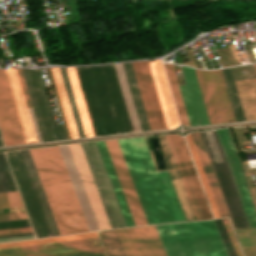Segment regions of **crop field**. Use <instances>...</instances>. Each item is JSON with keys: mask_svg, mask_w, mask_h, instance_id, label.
Here are the masks:
<instances>
[{"mask_svg": "<svg viewBox=\"0 0 256 256\" xmlns=\"http://www.w3.org/2000/svg\"><path fill=\"white\" fill-rule=\"evenodd\" d=\"M32 232L30 227L0 230V235Z\"/></svg>", "mask_w": 256, "mask_h": 256, "instance_id": "obj_41", "label": "crop field"}, {"mask_svg": "<svg viewBox=\"0 0 256 256\" xmlns=\"http://www.w3.org/2000/svg\"><path fill=\"white\" fill-rule=\"evenodd\" d=\"M66 69H67V73H68L69 80H70V83H71V87H72V90H73V94H74V97H75V101H76V104H77V108H78V111H79V115H80V118H81V122H82V125H83V129H84V132H85V136L86 137H92L94 135H93L91 124H90V121H89V118H88V114H87V111H86V107H85V104H84V100H83V97H82L80 86H79V83H78V80H77L75 69L74 68H66Z\"/></svg>", "mask_w": 256, "mask_h": 256, "instance_id": "obj_17", "label": "crop field"}, {"mask_svg": "<svg viewBox=\"0 0 256 256\" xmlns=\"http://www.w3.org/2000/svg\"><path fill=\"white\" fill-rule=\"evenodd\" d=\"M165 136H166V139H167V141H168L169 147H170V149H171L172 155H173V157H174L175 163H176V165H177L178 171H179V173H180L182 182H183V184H184L185 190H186V192H187V195H188V198H189V200H190V203H191V206H192V208H193V211H194V214H195V216H196V219L199 220V219H200V218H199V215H198V213H197L195 204H194V202H193L191 193H190V191H189L187 182H186L185 177H184V174H183V172H182V169H181L180 163H179V161H178V158H177L176 152H175V150H174V147H173L172 141H171V139H170V136H169V135H165Z\"/></svg>", "mask_w": 256, "mask_h": 256, "instance_id": "obj_30", "label": "crop field"}, {"mask_svg": "<svg viewBox=\"0 0 256 256\" xmlns=\"http://www.w3.org/2000/svg\"><path fill=\"white\" fill-rule=\"evenodd\" d=\"M127 227L135 226L103 141L96 142Z\"/></svg>", "mask_w": 256, "mask_h": 256, "instance_id": "obj_16", "label": "crop field"}, {"mask_svg": "<svg viewBox=\"0 0 256 256\" xmlns=\"http://www.w3.org/2000/svg\"><path fill=\"white\" fill-rule=\"evenodd\" d=\"M109 256H126L115 230L100 232Z\"/></svg>", "mask_w": 256, "mask_h": 256, "instance_id": "obj_26", "label": "crop field"}, {"mask_svg": "<svg viewBox=\"0 0 256 256\" xmlns=\"http://www.w3.org/2000/svg\"><path fill=\"white\" fill-rule=\"evenodd\" d=\"M29 234H33V233L17 234V235H6V236H0V238H2V237H11V236H20V235H29Z\"/></svg>", "mask_w": 256, "mask_h": 256, "instance_id": "obj_45", "label": "crop field"}, {"mask_svg": "<svg viewBox=\"0 0 256 256\" xmlns=\"http://www.w3.org/2000/svg\"><path fill=\"white\" fill-rule=\"evenodd\" d=\"M164 65H165V69H166L167 76H168V79H169V83H170V86H171V90H172V94H173L174 101H175V104H176V108H177V111H178V115H179V118H180V122L182 124L188 125V121H187L186 113H185V110H184L183 102H182V99H181V95H180V91H179V87H178L174 67H173V65H169V64H164Z\"/></svg>", "mask_w": 256, "mask_h": 256, "instance_id": "obj_24", "label": "crop field"}, {"mask_svg": "<svg viewBox=\"0 0 256 256\" xmlns=\"http://www.w3.org/2000/svg\"><path fill=\"white\" fill-rule=\"evenodd\" d=\"M182 67L186 85L179 86L190 126L210 124L195 74L192 68Z\"/></svg>", "mask_w": 256, "mask_h": 256, "instance_id": "obj_9", "label": "crop field"}, {"mask_svg": "<svg viewBox=\"0 0 256 256\" xmlns=\"http://www.w3.org/2000/svg\"><path fill=\"white\" fill-rule=\"evenodd\" d=\"M117 141L148 223L186 221L168 171H155L144 139Z\"/></svg>", "mask_w": 256, "mask_h": 256, "instance_id": "obj_2", "label": "crop field"}, {"mask_svg": "<svg viewBox=\"0 0 256 256\" xmlns=\"http://www.w3.org/2000/svg\"><path fill=\"white\" fill-rule=\"evenodd\" d=\"M149 66H150V69H151L152 77H153L154 84H155V87H156V91H157V94H158V98H159V102H160L161 109H162V112H163V116H164V120H165V123H166V127L167 128H171L169 120H168V116H167V113H166V109H165V106H164V102H163V99H162V95H161V91H160V88H159V84H158V81H157V77H156V74H155V70H154V67H153V63L149 62Z\"/></svg>", "mask_w": 256, "mask_h": 256, "instance_id": "obj_35", "label": "crop field"}, {"mask_svg": "<svg viewBox=\"0 0 256 256\" xmlns=\"http://www.w3.org/2000/svg\"><path fill=\"white\" fill-rule=\"evenodd\" d=\"M31 238H34V236H33V235H29V236L2 238V239H0V242L15 241V240H23V239H31Z\"/></svg>", "mask_w": 256, "mask_h": 256, "instance_id": "obj_43", "label": "crop field"}, {"mask_svg": "<svg viewBox=\"0 0 256 256\" xmlns=\"http://www.w3.org/2000/svg\"><path fill=\"white\" fill-rule=\"evenodd\" d=\"M23 206L17 192L0 194V208Z\"/></svg>", "mask_w": 256, "mask_h": 256, "instance_id": "obj_31", "label": "crop field"}, {"mask_svg": "<svg viewBox=\"0 0 256 256\" xmlns=\"http://www.w3.org/2000/svg\"><path fill=\"white\" fill-rule=\"evenodd\" d=\"M59 69H60V73H61L62 80H63V83H64V87H65V91H66L67 98H68V101H69V105H70V108H71V112H72V115H73V119H74V123H75L76 130H77V133H78V137L79 138L85 137L83 129H82V125H81V122H80V118H79V115H78V111H77V108H76V104H75V101H74V97H73V94H72V90H71V87H70V83H69V80H68V76H67V73H66V69L65 68H59Z\"/></svg>", "mask_w": 256, "mask_h": 256, "instance_id": "obj_25", "label": "crop field"}, {"mask_svg": "<svg viewBox=\"0 0 256 256\" xmlns=\"http://www.w3.org/2000/svg\"><path fill=\"white\" fill-rule=\"evenodd\" d=\"M116 231H117V233H118V235H119V238H120V240H121V242H122V245H123V247H124V250H125L127 256H131V255H130V252H129V250H128V247H127V245H126V242H125V240H124V237H123V235H122L121 230L119 229V230H116Z\"/></svg>", "mask_w": 256, "mask_h": 256, "instance_id": "obj_44", "label": "crop field"}, {"mask_svg": "<svg viewBox=\"0 0 256 256\" xmlns=\"http://www.w3.org/2000/svg\"><path fill=\"white\" fill-rule=\"evenodd\" d=\"M112 228H116L85 143L80 144Z\"/></svg>", "mask_w": 256, "mask_h": 256, "instance_id": "obj_28", "label": "crop field"}, {"mask_svg": "<svg viewBox=\"0 0 256 256\" xmlns=\"http://www.w3.org/2000/svg\"><path fill=\"white\" fill-rule=\"evenodd\" d=\"M22 70H23V74H24V77H25V81H26V84H27L28 91H29V95H30V98H31V102H32V106H33L34 113H35V116H36V120H37V123H38V127H39V130H40V134H41V137H42V141L45 142V141H47L46 136H45V133H44V130H43V126H42L41 119H40V116H39V112H38V109H37V106H36V102H35V99H34L32 88H31V85H30V82H29L27 71H26V69H22Z\"/></svg>", "mask_w": 256, "mask_h": 256, "instance_id": "obj_32", "label": "crop field"}, {"mask_svg": "<svg viewBox=\"0 0 256 256\" xmlns=\"http://www.w3.org/2000/svg\"><path fill=\"white\" fill-rule=\"evenodd\" d=\"M215 136V139L217 141L220 153L222 155L223 161L224 163H220L223 162L221 155L219 153L216 141L214 139L213 133L212 132H206L210 145L212 147L215 159L217 163L220 164H216L212 150L210 148L207 136L205 132H200L201 136L203 138L206 150L208 152L210 161L212 163L214 172L216 174L219 186L221 188L223 197L225 199L227 208L229 210L232 222L234 224L235 228H242V227H256V214L251 202V198H250V194L249 191L247 189L246 183H245V179L242 173V169H241V165L237 156V153L235 151L232 139L230 137L229 131L227 128L225 129H219V130H215L216 134L218 136L221 148L223 150L226 162L228 164L231 176L233 178L236 190L238 192L241 204L243 206L246 218L248 220V223L246 221L243 209L241 207L238 195L236 193L233 181L231 179L228 167L226 165L223 153L221 151L218 139L216 137L215 131L212 130ZM199 132H194V133H190L191 138L193 140L194 146L196 148L198 157L200 159L201 165L203 167L204 173L206 175L208 184L210 186L211 192L213 194L215 203L217 205L218 211L220 213L221 217H225V216H229L228 210L226 208L224 199L222 197L220 188L218 186L215 174L213 172L211 163L209 161L207 152L205 150L202 138L200 136ZM229 216V218H230ZM230 219V221H231ZM231 222V224H232ZM232 224V227H233ZM233 227V228H234Z\"/></svg>", "mask_w": 256, "mask_h": 256, "instance_id": "obj_1", "label": "crop field"}, {"mask_svg": "<svg viewBox=\"0 0 256 256\" xmlns=\"http://www.w3.org/2000/svg\"><path fill=\"white\" fill-rule=\"evenodd\" d=\"M94 237H98V236H95L94 232H90V233L75 234V235H68V236H61V237L3 243V244H0V249L37 245V244H45V243H53V242L70 241V240H78V239H86V238H94Z\"/></svg>", "mask_w": 256, "mask_h": 256, "instance_id": "obj_21", "label": "crop field"}, {"mask_svg": "<svg viewBox=\"0 0 256 256\" xmlns=\"http://www.w3.org/2000/svg\"><path fill=\"white\" fill-rule=\"evenodd\" d=\"M132 256H140L128 228L121 229Z\"/></svg>", "mask_w": 256, "mask_h": 256, "instance_id": "obj_36", "label": "crop field"}, {"mask_svg": "<svg viewBox=\"0 0 256 256\" xmlns=\"http://www.w3.org/2000/svg\"><path fill=\"white\" fill-rule=\"evenodd\" d=\"M16 70H17L18 77H19V80H20V83H21V87H22V90H23V93H24V96H25L26 103L29 104L31 102H30V98H29V95H28V91H27V88H26L25 81H24V77H23V74H22V70L21 69H16Z\"/></svg>", "mask_w": 256, "mask_h": 256, "instance_id": "obj_40", "label": "crop field"}, {"mask_svg": "<svg viewBox=\"0 0 256 256\" xmlns=\"http://www.w3.org/2000/svg\"><path fill=\"white\" fill-rule=\"evenodd\" d=\"M136 226L148 224L116 140L104 141Z\"/></svg>", "mask_w": 256, "mask_h": 256, "instance_id": "obj_8", "label": "crop field"}, {"mask_svg": "<svg viewBox=\"0 0 256 256\" xmlns=\"http://www.w3.org/2000/svg\"><path fill=\"white\" fill-rule=\"evenodd\" d=\"M153 63H154V67H155L158 81L160 84V88L162 91V95H163V99H164L167 113L169 116V120L171 123V127H174V126L178 125V119H177V115H176L174 105H173V102L171 99V95H170V92L168 89V85H167V82L165 79V75H164V72L162 69V65H161L160 60L153 61Z\"/></svg>", "mask_w": 256, "mask_h": 256, "instance_id": "obj_20", "label": "crop field"}, {"mask_svg": "<svg viewBox=\"0 0 256 256\" xmlns=\"http://www.w3.org/2000/svg\"><path fill=\"white\" fill-rule=\"evenodd\" d=\"M1 138V137H0Z\"/></svg>", "mask_w": 256, "mask_h": 256, "instance_id": "obj_48", "label": "crop field"}, {"mask_svg": "<svg viewBox=\"0 0 256 256\" xmlns=\"http://www.w3.org/2000/svg\"><path fill=\"white\" fill-rule=\"evenodd\" d=\"M196 70L206 109L211 124L234 120L230 102L220 70Z\"/></svg>", "mask_w": 256, "mask_h": 256, "instance_id": "obj_5", "label": "crop field"}, {"mask_svg": "<svg viewBox=\"0 0 256 256\" xmlns=\"http://www.w3.org/2000/svg\"><path fill=\"white\" fill-rule=\"evenodd\" d=\"M36 71H37V75H38V78H39L41 89H42V92H43V95H44V99H45V102H46L48 113H49V116H50V120H51L52 128H53V131H54L55 139L56 140L67 139L66 135H65L64 128H63V125L61 124V125H59L57 127L55 125L54 119H53L51 111H50V107H49L47 95H46V92H45V88H44V84H43L41 73H40L39 70H36Z\"/></svg>", "mask_w": 256, "mask_h": 256, "instance_id": "obj_29", "label": "crop field"}, {"mask_svg": "<svg viewBox=\"0 0 256 256\" xmlns=\"http://www.w3.org/2000/svg\"><path fill=\"white\" fill-rule=\"evenodd\" d=\"M17 191L10 172L0 173V193Z\"/></svg>", "mask_w": 256, "mask_h": 256, "instance_id": "obj_33", "label": "crop field"}, {"mask_svg": "<svg viewBox=\"0 0 256 256\" xmlns=\"http://www.w3.org/2000/svg\"><path fill=\"white\" fill-rule=\"evenodd\" d=\"M0 146H3V144H2V140L0 139Z\"/></svg>", "mask_w": 256, "mask_h": 256, "instance_id": "obj_46", "label": "crop field"}, {"mask_svg": "<svg viewBox=\"0 0 256 256\" xmlns=\"http://www.w3.org/2000/svg\"><path fill=\"white\" fill-rule=\"evenodd\" d=\"M0 130H1L3 140H4V144L5 145H12L10 137H9V133H8V130H7V127H6V123H5V120H4V116H3V113H2L1 106H0Z\"/></svg>", "mask_w": 256, "mask_h": 256, "instance_id": "obj_37", "label": "crop field"}, {"mask_svg": "<svg viewBox=\"0 0 256 256\" xmlns=\"http://www.w3.org/2000/svg\"><path fill=\"white\" fill-rule=\"evenodd\" d=\"M145 108L150 129L166 128L148 62L131 63Z\"/></svg>", "mask_w": 256, "mask_h": 256, "instance_id": "obj_7", "label": "crop field"}, {"mask_svg": "<svg viewBox=\"0 0 256 256\" xmlns=\"http://www.w3.org/2000/svg\"><path fill=\"white\" fill-rule=\"evenodd\" d=\"M255 65V69H256V64H254ZM256 80V79H255Z\"/></svg>", "mask_w": 256, "mask_h": 256, "instance_id": "obj_47", "label": "crop field"}, {"mask_svg": "<svg viewBox=\"0 0 256 256\" xmlns=\"http://www.w3.org/2000/svg\"><path fill=\"white\" fill-rule=\"evenodd\" d=\"M71 138H78L58 68H51Z\"/></svg>", "mask_w": 256, "mask_h": 256, "instance_id": "obj_22", "label": "crop field"}, {"mask_svg": "<svg viewBox=\"0 0 256 256\" xmlns=\"http://www.w3.org/2000/svg\"><path fill=\"white\" fill-rule=\"evenodd\" d=\"M10 171L3 153H0V172Z\"/></svg>", "mask_w": 256, "mask_h": 256, "instance_id": "obj_42", "label": "crop field"}, {"mask_svg": "<svg viewBox=\"0 0 256 256\" xmlns=\"http://www.w3.org/2000/svg\"><path fill=\"white\" fill-rule=\"evenodd\" d=\"M221 71H222V75H223V78H224L226 89H227V92H228V95H229V99H230V102H231V106H232V109H233L235 120L236 121H244L245 119H244V116H243V112H242V109H241V106H240V102H239V99H238V96H237V92H236V89H235V86H234V82H233V79H232V76H231L230 69L226 68V69H222Z\"/></svg>", "mask_w": 256, "mask_h": 256, "instance_id": "obj_23", "label": "crop field"}, {"mask_svg": "<svg viewBox=\"0 0 256 256\" xmlns=\"http://www.w3.org/2000/svg\"><path fill=\"white\" fill-rule=\"evenodd\" d=\"M202 219L212 218L184 139L171 135Z\"/></svg>", "mask_w": 256, "mask_h": 256, "instance_id": "obj_10", "label": "crop field"}, {"mask_svg": "<svg viewBox=\"0 0 256 256\" xmlns=\"http://www.w3.org/2000/svg\"><path fill=\"white\" fill-rule=\"evenodd\" d=\"M141 256H166L154 226L129 228Z\"/></svg>", "mask_w": 256, "mask_h": 256, "instance_id": "obj_15", "label": "crop field"}, {"mask_svg": "<svg viewBox=\"0 0 256 256\" xmlns=\"http://www.w3.org/2000/svg\"><path fill=\"white\" fill-rule=\"evenodd\" d=\"M155 227L168 256H228L213 220Z\"/></svg>", "mask_w": 256, "mask_h": 256, "instance_id": "obj_4", "label": "crop field"}, {"mask_svg": "<svg viewBox=\"0 0 256 256\" xmlns=\"http://www.w3.org/2000/svg\"><path fill=\"white\" fill-rule=\"evenodd\" d=\"M142 131L150 130L130 63L122 64Z\"/></svg>", "mask_w": 256, "mask_h": 256, "instance_id": "obj_18", "label": "crop field"}, {"mask_svg": "<svg viewBox=\"0 0 256 256\" xmlns=\"http://www.w3.org/2000/svg\"><path fill=\"white\" fill-rule=\"evenodd\" d=\"M117 228L126 227L95 142L86 143Z\"/></svg>", "mask_w": 256, "mask_h": 256, "instance_id": "obj_12", "label": "crop field"}, {"mask_svg": "<svg viewBox=\"0 0 256 256\" xmlns=\"http://www.w3.org/2000/svg\"><path fill=\"white\" fill-rule=\"evenodd\" d=\"M23 218H27L25 212L11 213V214H1L0 215V221L13 220V219H23Z\"/></svg>", "mask_w": 256, "mask_h": 256, "instance_id": "obj_39", "label": "crop field"}, {"mask_svg": "<svg viewBox=\"0 0 256 256\" xmlns=\"http://www.w3.org/2000/svg\"><path fill=\"white\" fill-rule=\"evenodd\" d=\"M8 77L9 85L15 102L16 110L22 127L25 142L36 141L30 117L27 111L25 100L19 84V80L15 69H5ZM4 70V71H5ZM37 142V141H36Z\"/></svg>", "mask_w": 256, "mask_h": 256, "instance_id": "obj_13", "label": "crop field"}, {"mask_svg": "<svg viewBox=\"0 0 256 256\" xmlns=\"http://www.w3.org/2000/svg\"><path fill=\"white\" fill-rule=\"evenodd\" d=\"M214 221H215V223L217 225V228L219 230V233H220V235L222 237V240L224 242V245H225V247L227 249V252H228L229 256H236L235 251H234V249L232 247V244L230 242V239L228 237V234L226 232V229H225V227L223 225L222 220L221 219H217V220H214Z\"/></svg>", "mask_w": 256, "mask_h": 256, "instance_id": "obj_34", "label": "crop field"}, {"mask_svg": "<svg viewBox=\"0 0 256 256\" xmlns=\"http://www.w3.org/2000/svg\"><path fill=\"white\" fill-rule=\"evenodd\" d=\"M51 148L29 151L59 234L89 231L58 147Z\"/></svg>", "mask_w": 256, "mask_h": 256, "instance_id": "obj_3", "label": "crop field"}, {"mask_svg": "<svg viewBox=\"0 0 256 256\" xmlns=\"http://www.w3.org/2000/svg\"><path fill=\"white\" fill-rule=\"evenodd\" d=\"M185 138H186V141H187V143H188L189 149H190V151H191L192 157H193V159H194L196 168H197V170H198L199 176H200V178H201L202 184H203V186H204V189H205L206 195H207V197H208L209 203H210V205H211L212 211H213V213H214V216H215V218H218V217H220V216H219V213H218L217 208H216V205H215V203H214L212 194H211V192H210L209 186H208L207 181H206V178H205V176H204L202 167H201V165H200V162H199V159H198V157H197V154H196L195 148H194V146H193L192 140H191V138H190V135H189V134L186 135Z\"/></svg>", "mask_w": 256, "mask_h": 256, "instance_id": "obj_27", "label": "crop field"}, {"mask_svg": "<svg viewBox=\"0 0 256 256\" xmlns=\"http://www.w3.org/2000/svg\"><path fill=\"white\" fill-rule=\"evenodd\" d=\"M28 74H29V77H30V81H31V84H32V88H33V91H34L36 102H37V105H38V108H39V112H40V115H41V119H42V122H43L45 133H46V136H47V140L48 141L55 140L53 132H52V128H51V125H50L49 117H48V114H47V110H46V107H45V103H44V100H43V96H42V93H41L38 78H37V75H36V71L35 70H28Z\"/></svg>", "mask_w": 256, "mask_h": 256, "instance_id": "obj_19", "label": "crop field"}, {"mask_svg": "<svg viewBox=\"0 0 256 256\" xmlns=\"http://www.w3.org/2000/svg\"><path fill=\"white\" fill-rule=\"evenodd\" d=\"M51 236L59 235L28 150L19 151Z\"/></svg>", "mask_w": 256, "mask_h": 256, "instance_id": "obj_14", "label": "crop field"}, {"mask_svg": "<svg viewBox=\"0 0 256 256\" xmlns=\"http://www.w3.org/2000/svg\"><path fill=\"white\" fill-rule=\"evenodd\" d=\"M222 220H223L224 225H225V227H226V229H227V232H228V234H229V237H230L231 242H232V244H233V246H234V249H235V251H236L237 256H242V254H241V252H240V249H239V247H238V245H237V243H236V240H235V238H234V235H233V233H232V231H231V228H230V224H229L228 219H227V218H224V219H222Z\"/></svg>", "mask_w": 256, "mask_h": 256, "instance_id": "obj_38", "label": "crop field"}, {"mask_svg": "<svg viewBox=\"0 0 256 256\" xmlns=\"http://www.w3.org/2000/svg\"><path fill=\"white\" fill-rule=\"evenodd\" d=\"M0 102L12 144L25 143L4 69H0Z\"/></svg>", "mask_w": 256, "mask_h": 256, "instance_id": "obj_11", "label": "crop field"}, {"mask_svg": "<svg viewBox=\"0 0 256 256\" xmlns=\"http://www.w3.org/2000/svg\"><path fill=\"white\" fill-rule=\"evenodd\" d=\"M0 256H105L98 238L0 250Z\"/></svg>", "mask_w": 256, "mask_h": 256, "instance_id": "obj_6", "label": "crop field"}]
</instances>
